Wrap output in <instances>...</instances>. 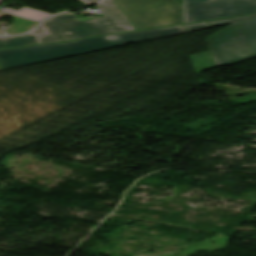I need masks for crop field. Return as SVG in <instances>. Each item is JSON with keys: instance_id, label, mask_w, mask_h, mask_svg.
I'll return each mask as SVG.
<instances>
[{"instance_id": "1", "label": "crop field", "mask_w": 256, "mask_h": 256, "mask_svg": "<svg viewBox=\"0 0 256 256\" xmlns=\"http://www.w3.org/2000/svg\"><path fill=\"white\" fill-rule=\"evenodd\" d=\"M97 8L103 14V18L79 22L74 14L54 16L39 25L44 30L41 34L29 33L11 38L0 37V49L134 30L114 0H105Z\"/></svg>"}, {"instance_id": "2", "label": "crop field", "mask_w": 256, "mask_h": 256, "mask_svg": "<svg viewBox=\"0 0 256 256\" xmlns=\"http://www.w3.org/2000/svg\"><path fill=\"white\" fill-rule=\"evenodd\" d=\"M183 26H174L154 30L95 37L71 43L55 45H35L27 48L0 51V61L5 69L32 64L36 62L67 57L106 48L126 45L158 37L180 34Z\"/></svg>"}, {"instance_id": "3", "label": "crop field", "mask_w": 256, "mask_h": 256, "mask_svg": "<svg viewBox=\"0 0 256 256\" xmlns=\"http://www.w3.org/2000/svg\"><path fill=\"white\" fill-rule=\"evenodd\" d=\"M206 40L217 67L256 56V26L231 25Z\"/></svg>"}, {"instance_id": "4", "label": "crop field", "mask_w": 256, "mask_h": 256, "mask_svg": "<svg viewBox=\"0 0 256 256\" xmlns=\"http://www.w3.org/2000/svg\"><path fill=\"white\" fill-rule=\"evenodd\" d=\"M137 30L183 23L178 0H116Z\"/></svg>"}, {"instance_id": "5", "label": "crop field", "mask_w": 256, "mask_h": 256, "mask_svg": "<svg viewBox=\"0 0 256 256\" xmlns=\"http://www.w3.org/2000/svg\"><path fill=\"white\" fill-rule=\"evenodd\" d=\"M256 14V0H183L184 23Z\"/></svg>"}, {"instance_id": "6", "label": "crop field", "mask_w": 256, "mask_h": 256, "mask_svg": "<svg viewBox=\"0 0 256 256\" xmlns=\"http://www.w3.org/2000/svg\"><path fill=\"white\" fill-rule=\"evenodd\" d=\"M189 57L196 73L216 67L209 51L191 55Z\"/></svg>"}, {"instance_id": "7", "label": "crop field", "mask_w": 256, "mask_h": 256, "mask_svg": "<svg viewBox=\"0 0 256 256\" xmlns=\"http://www.w3.org/2000/svg\"><path fill=\"white\" fill-rule=\"evenodd\" d=\"M0 11L6 12V13H9V14H12V15L20 16V17H23V18H27V19H30V20L38 21V22H40L44 18L51 15V14H47V13H44V12H40V11H36V10H32V9H27V8H23L19 11L9 9V8H4Z\"/></svg>"}, {"instance_id": "8", "label": "crop field", "mask_w": 256, "mask_h": 256, "mask_svg": "<svg viewBox=\"0 0 256 256\" xmlns=\"http://www.w3.org/2000/svg\"><path fill=\"white\" fill-rule=\"evenodd\" d=\"M12 17L15 18V22L11 25V27L8 30H6L8 35H15L27 32L33 29L37 24V22L29 21L15 16Z\"/></svg>"}, {"instance_id": "9", "label": "crop field", "mask_w": 256, "mask_h": 256, "mask_svg": "<svg viewBox=\"0 0 256 256\" xmlns=\"http://www.w3.org/2000/svg\"><path fill=\"white\" fill-rule=\"evenodd\" d=\"M210 23H211V27L218 26V25L229 24V23L256 25V16L235 18V19H228V20H221V21H213V22H210Z\"/></svg>"}, {"instance_id": "10", "label": "crop field", "mask_w": 256, "mask_h": 256, "mask_svg": "<svg viewBox=\"0 0 256 256\" xmlns=\"http://www.w3.org/2000/svg\"><path fill=\"white\" fill-rule=\"evenodd\" d=\"M184 26L186 28L185 32H187V31L207 28L208 24H207V22H203V23L187 24V25H184Z\"/></svg>"}, {"instance_id": "11", "label": "crop field", "mask_w": 256, "mask_h": 256, "mask_svg": "<svg viewBox=\"0 0 256 256\" xmlns=\"http://www.w3.org/2000/svg\"><path fill=\"white\" fill-rule=\"evenodd\" d=\"M81 1H83L84 3L90 5V4H93V3H95V2H97L99 0H81Z\"/></svg>"}, {"instance_id": "12", "label": "crop field", "mask_w": 256, "mask_h": 256, "mask_svg": "<svg viewBox=\"0 0 256 256\" xmlns=\"http://www.w3.org/2000/svg\"><path fill=\"white\" fill-rule=\"evenodd\" d=\"M38 28H39V26L37 27V29H36L34 32H36V33H41V32H43L42 30H38Z\"/></svg>"}, {"instance_id": "13", "label": "crop field", "mask_w": 256, "mask_h": 256, "mask_svg": "<svg viewBox=\"0 0 256 256\" xmlns=\"http://www.w3.org/2000/svg\"><path fill=\"white\" fill-rule=\"evenodd\" d=\"M1 63V62H0ZM2 65V64H1ZM4 68V67H3ZM5 70V69H4Z\"/></svg>"}, {"instance_id": "14", "label": "crop field", "mask_w": 256, "mask_h": 256, "mask_svg": "<svg viewBox=\"0 0 256 256\" xmlns=\"http://www.w3.org/2000/svg\"><path fill=\"white\" fill-rule=\"evenodd\" d=\"M1 3V2H0Z\"/></svg>"}]
</instances>
